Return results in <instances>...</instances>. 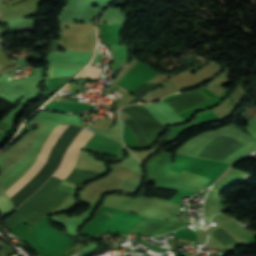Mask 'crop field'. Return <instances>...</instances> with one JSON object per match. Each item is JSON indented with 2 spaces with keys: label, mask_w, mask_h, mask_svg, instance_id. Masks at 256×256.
<instances>
[{
  "label": "crop field",
  "mask_w": 256,
  "mask_h": 256,
  "mask_svg": "<svg viewBox=\"0 0 256 256\" xmlns=\"http://www.w3.org/2000/svg\"><path fill=\"white\" fill-rule=\"evenodd\" d=\"M180 225H182V223L164 222L144 218L135 226L131 227L126 233L156 235L169 232Z\"/></svg>",
  "instance_id": "8a807250"
},
{
  "label": "crop field",
  "mask_w": 256,
  "mask_h": 256,
  "mask_svg": "<svg viewBox=\"0 0 256 256\" xmlns=\"http://www.w3.org/2000/svg\"><path fill=\"white\" fill-rule=\"evenodd\" d=\"M244 174V173H243ZM243 174L241 175V177L243 176ZM241 177H240V179H241Z\"/></svg>",
  "instance_id": "ac0d7876"
}]
</instances>
